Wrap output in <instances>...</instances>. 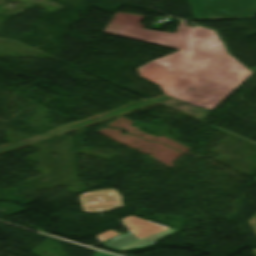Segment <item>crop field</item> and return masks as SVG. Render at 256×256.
Segmentation results:
<instances>
[{"instance_id": "crop-field-1", "label": "crop field", "mask_w": 256, "mask_h": 256, "mask_svg": "<svg viewBox=\"0 0 256 256\" xmlns=\"http://www.w3.org/2000/svg\"><path fill=\"white\" fill-rule=\"evenodd\" d=\"M142 16L116 13L105 33L141 40L180 50L156 61L176 65L174 72L196 78L195 82L168 78L148 63L137 69L139 77L159 85L164 95L190 105L213 110L236 89L231 59L216 33L180 23L176 33L143 30Z\"/></svg>"}, {"instance_id": "crop-field-2", "label": "crop field", "mask_w": 256, "mask_h": 256, "mask_svg": "<svg viewBox=\"0 0 256 256\" xmlns=\"http://www.w3.org/2000/svg\"><path fill=\"white\" fill-rule=\"evenodd\" d=\"M196 20L251 18L256 0H189Z\"/></svg>"}, {"instance_id": "crop-field-3", "label": "crop field", "mask_w": 256, "mask_h": 256, "mask_svg": "<svg viewBox=\"0 0 256 256\" xmlns=\"http://www.w3.org/2000/svg\"><path fill=\"white\" fill-rule=\"evenodd\" d=\"M122 223L128 229L130 233L114 238L107 242L101 243L100 245H106L111 248H120L167 228L136 216L130 215L126 218L121 219Z\"/></svg>"}, {"instance_id": "crop-field-4", "label": "crop field", "mask_w": 256, "mask_h": 256, "mask_svg": "<svg viewBox=\"0 0 256 256\" xmlns=\"http://www.w3.org/2000/svg\"><path fill=\"white\" fill-rule=\"evenodd\" d=\"M88 195H93L94 197H83ZM79 198L82 204L83 211L86 213L105 212L115 208L123 207L120 195L113 189L87 192L80 195ZM89 198L97 199L89 200ZM108 199L117 200L101 202V200ZM91 206H98V208H85Z\"/></svg>"}, {"instance_id": "crop-field-5", "label": "crop field", "mask_w": 256, "mask_h": 256, "mask_svg": "<svg viewBox=\"0 0 256 256\" xmlns=\"http://www.w3.org/2000/svg\"><path fill=\"white\" fill-rule=\"evenodd\" d=\"M226 57L232 58V72L237 75V87L247 79L253 72L234 59L229 54L225 55Z\"/></svg>"}, {"instance_id": "crop-field-6", "label": "crop field", "mask_w": 256, "mask_h": 256, "mask_svg": "<svg viewBox=\"0 0 256 256\" xmlns=\"http://www.w3.org/2000/svg\"><path fill=\"white\" fill-rule=\"evenodd\" d=\"M153 67H155L158 71H160L162 74L168 77H174V78H180V79H186V80H192L194 81V78L187 77L181 74H177L172 72L174 66L169 64H164L156 61L149 62Z\"/></svg>"}, {"instance_id": "crop-field-7", "label": "crop field", "mask_w": 256, "mask_h": 256, "mask_svg": "<svg viewBox=\"0 0 256 256\" xmlns=\"http://www.w3.org/2000/svg\"><path fill=\"white\" fill-rule=\"evenodd\" d=\"M115 235H119V233L108 230V231L103 232L101 234L95 235V237H97L100 240V242H102V241H104L108 238H111V237L115 236Z\"/></svg>"}, {"instance_id": "crop-field-8", "label": "crop field", "mask_w": 256, "mask_h": 256, "mask_svg": "<svg viewBox=\"0 0 256 256\" xmlns=\"http://www.w3.org/2000/svg\"><path fill=\"white\" fill-rule=\"evenodd\" d=\"M251 226L253 227L254 231L256 232V215L249 220Z\"/></svg>"}, {"instance_id": "crop-field-9", "label": "crop field", "mask_w": 256, "mask_h": 256, "mask_svg": "<svg viewBox=\"0 0 256 256\" xmlns=\"http://www.w3.org/2000/svg\"><path fill=\"white\" fill-rule=\"evenodd\" d=\"M93 256H113V255L97 251Z\"/></svg>"}, {"instance_id": "crop-field-10", "label": "crop field", "mask_w": 256, "mask_h": 256, "mask_svg": "<svg viewBox=\"0 0 256 256\" xmlns=\"http://www.w3.org/2000/svg\"><path fill=\"white\" fill-rule=\"evenodd\" d=\"M254 253L256 254V249H253Z\"/></svg>"}]
</instances>
